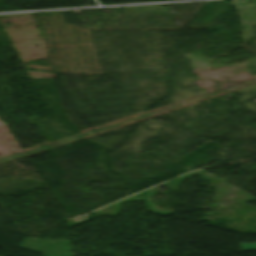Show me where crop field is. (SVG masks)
<instances>
[{
	"mask_svg": "<svg viewBox=\"0 0 256 256\" xmlns=\"http://www.w3.org/2000/svg\"><path fill=\"white\" fill-rule=\"evenodd\" d=\"M242 251L256 250V243L254 244H240Z\"/></svg>",
	"mask_w": 256,
	"mask_h": 256,
	"instance_id": "obj_1",
	"label": "crop field"
}]
</instances>
